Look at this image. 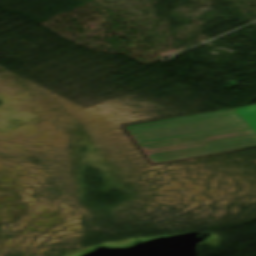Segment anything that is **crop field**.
<instances>
[{"label":"crop field","instance_id":"obj_1","mask_svg":"<svg viewBox=\"0 0 256 256\" xmlns=\"http://www.w3.org/2000/svg\"><path fill=\"white\" fill-rule=\"evenodd\" d=\"M125 128L152 164L256 147V135L231 109Z\"/></svg>","mask_w":256,"mask_h":256},{"label":"crop field","instance_id":"obj_2","mask_svg":"<svg viewBox=\"0 0 256 256\" xmlns=\"http://www.w3.org/2000/svg\"><path fill=\"white\" fill-rule=\"evenodd\" d=\"M241 119L256 133V105L233 109Z\"/></svg>","mask_w":256,"mask_h":256},{"label":"crop field","instance_id":"obj_3","mask_svg":"<svg viewBox=\"0 0 256 256\" xmlns=\"http://www.w3.org/2000/svg\"><path fill=\"white\" fill-rule=\"evenodd\" d=\"M254 162H256V161H254Z\"/></svg>","mask_w":256,"mask_h":256}]
</instances>
